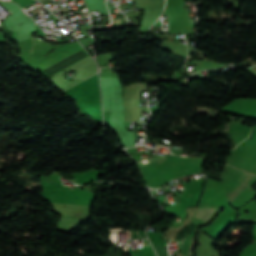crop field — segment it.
I'll list each match as a JSON object with an SVG mask.
<instances>
[{
  "label": "crop field",
  "instance_id": "crop-field-1",
  "mask_svg": "<svg viewBox=\"0 0 256 256\" xmlns=\"http://www.w3.org/2000/svg\"><path fill=\"white\" fill-rule=\"evenodd\" d=\"M197 225L198 224L192 221L189 225H185L177 234L176 240L182 242V256H186L187 254L190 235Z\"/></svg>",
  "mask_w": 256,
  "mask_h": 256
},
{
  "label": "crop field",
  "instance_id": "crop-field-2",
  "mask_svg": "<svg viewBox=\"0 0 256 256\" xmlns=\"http://www.w3.org/2000/svg\"><path fill=\"white\" fill-rule=\"evenodd\" d=\"M153 246H154L158 256H168L166 248L160 247V246H157V245H153Z\"/></svg>",
  "mask_w": 256,
  "mask_h": 256
}]
</instances>
